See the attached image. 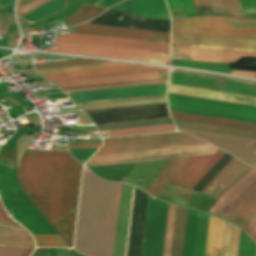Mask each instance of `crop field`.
<instances>
[{
	"label": "crop field",
	"instance_id": "crop-field-1",
	"mask_svg": "<svg viewBox=\"0 0 256 256\" xmlns=\"http://www.w3.org/2000/svg\"><path fill=\"white\" fill-rule=\"evenodd\" d=\"M80 168L69 153L26 150L19 171L26 193L68 242L72 240Z\"/></svg>",
	"mask_w": 256,
	"mask_h": 256
},
{
	"label": "crop field",
	"instance_id": "crop-field-2",
	"mask_svg": "<svg viewBox=\"0 0 256 256\" xmlns=\"http://www.w3.org/2000/svg\"><path fill=\"white\" fill-rule=\"evenodd\" d=\"M121 184L83 172L74 247L89 256H113Z\"/></svg>",
	"mask_w": 256,
	"mask_h": 256
},
{
	"label": "crop field",
	"instance_id": "crop-field-3",
	"mask_svg": "<svg viewBox=\"0 0 256 256\" xmlns=\"http://www.w3.org/2000/svg\"><path fill=\"white\" fill-rule=\"evenodd\" d=\"M198 212L169 204L163 256H192ZM209 215L199 212L193 256H204Z\"/></svg>",
	"mask_w": 256,
	"mask_h": 256
},
{
	"label": "crop field",
	"instance_id": "crop-field-4",
	"mask_svg": "<svg viewBox=\"0 0 256 256\" xmlns=\"http://www.w3.org/2000/svg\"><path fill=\"white\" fill-rule=\"evenodd\" d=\"M173 33L256 39V19L208 16L173 20Z\"/></svg>",
	"mask_w": 256,
	"mask_h": 256
},
{
	"label": "crop field",
	"instance_id": "crop-field-5",
	"mask_svg": "<svg viewBox=\"0 0 256 256\" xmlns=\"http://www.w3.org/2000/svg\"><path fill=\"white\" fill-rule=\"evenodd\" d=\"M173 111L256 123V107L168 94Z\"/></svg>",
	"mask_w": 256,
	"mask_h": 256
},
{
	"label": "crop field",
	"instance_id": "crop-field-6",
	"mask_svg": "<svg viewBox=\"0 0 256 256\" xmlns=\"http://www.w3.org/2000/svg\"><path fill=\"white\" fill-rule=\"evenodd\" d=\"M218 149L208 145L127 152L94 156L86 167L215 154Z\"/></svg>",
	"mask_w": 256,
	"mask_h": 256
},
{
	"label": "crop field",
	"instance_id": "crop-field-7",
	"mask_svg": "<svg viewBox=\"0 0 256 256\" xmlns=\"http://www.w3.org/2000/svg\"><path fill=\"white\" fill-rule=\"evenodd\" d=\"M49 51L168 64L169 54L56 41Z\"/></svg>",
	"mask_w": 256,
	"mask_h": 256
},
{
	"label": "crop field",
	"instance_id": "crop-field-8",
	"mask_svg": "<svg viewBox=\"0 0 256 256\" xmlns=\"http://www.w3.org/2000/svg\"><path fill=\"white\" fill-rule=\"evenodd\" d=\"M169 83L256 97V82L171 69Z\"/></svg>",
	"mask_w": 256,
	"mask_h": 256
},
{
	"label": "crop field",
	"instance_id": "crop-field-9",
	"mask_svg": "<svg viewBox=\"0 0 256 256\" xmlns=\"http://www.w3.org/2000/svg\"><path fill=\"white\" fill-rule=\"evenodd\" d=\"M256 192V169L253 168L227 190L210 213L233 220Z\"/></svg>",
	"mask_w": 256,
	"mask_h": 256
},
{
	"label": "crop field",
	"instance_id": "crop-field-10",
	"mask_svg": "<svg viewBox=\"0 0 256 256\" xmlns=\"http://www.w3.org/2000/svg\"><path fill=\"white\" fill-rule=\"evenodd\" d=\"M167 84L67 93L69 96L166 87ZM166 88L71 97L78 105L161 98Z\"/></svg>",
	"mask_w": 256,
	"mask_h": 256
},
{
	"label": "crop field",
	"instance_id": "crop-field-11",
	"mask_svg": "<svg viewBox=\"0 0 256 256\" xmlns=\"http://www.w3.org/2000/svg\"><path fill=\"white\" fill-rule=\"evenodd\" d=\"M172 47L256 53V40L173 34Z\"/></svg>",
	"mask_w": 256,
	"mask_h": 256
},
{
	"label": "crop field",
	"instance_id": "crop-field-12",
	"mask_svg": "<svg viewBox=\"0 0 256 256\" xmlns=\"http://www.w3.org/2000/svg\"><path fill=\"white\" fill-rule=\"evenodd\" d=\"M173 119L256 132V125L170 112ZM174 120L177 127L256 139V133Z\"/></svg>",
	"mask_w": 256,
	"mask_h": 256
},
{
	"label": "crop field",
	"instance_id": "crop-field-13",
	"mask_svg": "<svg viewBox=\"0 0 256 256\" xmlns=\"http://www.w3.org/2000/svg\"><path fill=\"white\" fill-rule=\"evenodd\" d=\"M167 208L150 196L143 256H162Z\"/></svg>",
	"mask_w": 256,
	"mask_h": 256
},
{
	"label": "crop field",
	"instance_id": "crop-field-14",
	"mask_svg": "<svg viewBox=\"0 0 256 256\" xmlns=\"http://www.w3.org/2000/svg\"><path fill=\"white\" fill-rule=\"evenodd\" d=\"M179 131L192 134L198 138H201L223 150L239 158L249 165L256 166V140L237 138L219 134H212L200 131H193L187 129L178 128ZM254 144V146H253ZM253 146V148H252ZM255 149V150H251Z\"/></svg>",
	"mask_w": 256,
	"mask_h": 256
},
{
	"label": "crop field",
	"instance_id": "crop-field-15",
	"mask_svg": "<svg viewBox=\"0 0 256 256\" xmlns=\"http://www.w3.org/2000/svg\"><path fill=\"white\" fill-rule=\"evenodd\" d=\"M78 34L98 35L126 39L146 40L169 43L170 33L108 26L82 24L75 28Z\"/></svg>",
	"mask_w": 256,
	"mask_h": 256
},
{
	"label": "crop field",
	"instance_id": "crop-field-16",
	"mask_svg": "<svg viewBox=\"0 0 256 256\" xmlns=\"http://www.w3.org/2000/svg\"><path fill=\"white\" fill-rule=\"evenodd\" d=\"M223 154L224 152L218 150L215 155L190 157L189 160L170 181V183L191 189ZM228 163L226 164V166L228 165ZM217 175L209 182V184L217 177ZM208 185L201 191V193L208 187Z\"/></svg>",
	"mask_w": 256,
	"mask_h": 256
},
{
	"label": "crop field",
	"instance_id": "crop-field-17",
	"mask_svg": "<svg viewBox=\"0 0 256 256\" xmlns=\"http://www.w3.org/2000/svg\"><path fill=\"white\" fill-rule=\"evenodd\" d=\"M56 40L169 53V44L165 43L145 42L78 34L57 36Z\"/></svg>",
	"mask_w": 256,
	"mask_h": 256
},
{
	"label": "crop field",
	"instance_id": "crop-field-18",
	"mask_svg": "<svg viewBox=\"0 0 256 256\" xmlns=\"http://www.w3.org/2000/svg\"><path fill=\"white\" fill-rule=\"evenodd\" d=\"M203 143L204 142L192 136H186V137H176V138L157 139V140H148V141L109 144V145H105L96 155L193 145V144H203Z\"/></svg>",
	"mask_w": 256,
	"mask_h": 256
},
{
	"label": "crop field",
	"instance_id": "crop-field-19",
	"mask_svg": "<svg viewBox=\"0 0 256 256\" xmlns=\"http://www.w3.org/2000/svg\"><path fill=\"white\" fill-rule=\"evenodd\" d=\"M134 187L122 184L114 256H126Z\"/></svg>",
	"mask_w": 256,
	"mask_h": 256
},
{
	"label": "crop field",
	"instance_id": "crop-field-20",
	"mask_svg": "<svg viewBox=\"0 0 256 256\" xmlns=\"http://www.w3.org/2000/svg\"><path fill=\"white\" fill-rule=\"evenodd\" d=\"M239 57L256 58L253 53L172 48V59L237 63Z\"/></svg>",
	"mask_w": 256,
	"mask_h": 256
},
{
	"label": "crop field",
	"instance_id": "crop-field-21",
	"mask_svg": "<svg viewBox=\"0 0 256 256\" xmlns=\"http://www.w3.org/2000/svg\"><path fill=\"white\" fill-rule=\"evenodd\" d=\"M168 93L256 106V98L169 84Z\"/></svg>",
	"mask_w": 256,
	"mask_h": 256
},
{
	"label": "crop field",
	"instance_id": "crop-field-22",
	"mask_svg": "<svg viewBox=\"0 0 256 256\" xmlns=\"http://www.w3.org/2000/svg\"><path fill=\"white\" fill-rule=\"evenodd\" d=\"M168 71L54 82L61 88L167 78Z\"/></svg>",
	"mask_w": 256,
	"mask_h": 256
},
{
	"label": "crop field",
	"instance_id": "crop-field-23",
	"mask_svg": "<svg viewBox=\"0 0 256 256\" xmlns=\"http://www.w3.org/2000/svg\"><path fill=\"white\" fill-rule=\"evenodd\" d=\"M0 246L34 249L33 239L28 231L15 221L0 220Z\"/></svg>",
	"mask_w": 256,
	"mask_h": 256
},
{
	"label": "crop field",
	"instance_id": "crop-field-24",
	"mask_svg": "<svg viewBox=\"0 0 256 256\" xmlns=\"http://www.w3.org/2000/svg\"><path fill=\"white\" fill-rule=\"evenodd\" d=\"M163 70H167V69L147 67V66H138V67H128V68H118V69H108V70H98V71H88V72L58 74V75H48L45 77H47L48 79H50L52 81H58V80H68V79H79V78H89V77H100V76H110V75L163 71Z\"/></svg>",
	"mask_w": 256,
	"mask_h": 256
},
{
	"label": "crop field",
	"instance_id": "crop-field-25",
	"mask_svg": "<svg viewBox=\"0 0 256 256\" xmlns=\"http://www.w3.org/2000/svg\"><path fill=\"white\" fill-rule=\"evenodd\" d=\"M227 222L211 216L205 256H223Z\"/></svg>",
	"mask_w": 256,
	"mask_h": 256
},
{
	"label": "crop field",
	"instance_id": "crop-field-26",
	"mask_svg": "<svg viewBox=\"0 0 256 256\" xmlns=\"http://www.w3.org/2000/svg\"><path fill=\"white\" fill-rule=\"evenodd\" d=\"M133 14L140 17L170 18L164 0H129Z\"/></svg>",
	"mask_w": 256,
	"mask_h": 256
},
{
	"label": "crop field",
	"instance_id": "crop-field-27",
	"mask_svg": "<svg viewBox=\"0 0 256 256\" xmlns=\"http://www.w3.org/2000/svg\"><path fill=\"white\" fill-rule=\"evenodd\" d=\"M187 160L188 158L171 159L145 191L157 197Z\"/></svg>",
	"mask_w": 256,
	"mask_h": 256
},
{
	"label": "crop field",
	"instance_id": "crop-field-28",
	"mask_svg": "<svg viewBox=\"0 0 256 256\" xmlns=\"http://www.w3.org/2000/svg\"><path fill=\"white\" fill-rule=\"evenodd\" d=\"M67 7V0H51L33 11L22 16L29 24L36 22L44 17L54 14ZM21 17L18 18L20 25L28 24Z\"/></svg>",
	"mask_w": 256,
	"mask_h": 256
},
{
	"label": "crop field",
	"instance_id": "crop-field-29",
	"mask_svg": "<svg viewBox=\"0 0 256 256\" xmlns=\"http://www.w3.org/2000/svg\"><path fill=\"white\" fill-rule=\"evenodd\" d=\"M128 66H134V65L106 62V63H96V64L43 68L39 70L42 73V75H48V74H58V73H68V72H78V71H88V70H98V69H108V68H118V67H128Z\"/></svg>",
	"mask_w": 256,
	"mask_h": 256
},
{
	"label": "crop field",
	"instance_id": "crop-field-30",
	"mask_svg": "<svg viewBox=\"0 0 256 256\" xmlns=\"http://www.w3.org/2000/svg\"><path fill=\"white\" fill-rule=\"evenodd\" d=\"M169 124H173L171 118L112 123V124H101V125H97V127L100 129V131H106V130H114V129H125V128H136V127H147V126H158V125H169Z\"/></svg>",
	"mask_w": 256,
	"mask_h": 256
},
{
	"label": "crop field",
	"instance_id": "crop-field-31",
	"mask_svg": "<svg viewBox=\"0 0 256 256\" xmlns=\"http://www.w3.org/2000/svg\"><path fill=\"white\" fill-rule=\"evenodd\" d=\"M237 163L232 166L233 162ZM232 164V165H231ZM248 166L244 165L237 159H233L230 164L219 174V176L213 181V183L218 184L227 188L238 176H240Z\"/></svg>",
	"mask_w": 256,
	"mask_h": 256
},
{
	"label": "crop field",
	"instance_id": "crop-field-32",
	"mask_svg": "<svg viewBox=\"0 0 256 256\" xmlns=\"http://www.w3.org/2000/svg\"><path fill=\"white\" fill-rule=\"evenodd\" d=\"M162 103H167L166 98L128 101V102H117V103H106V104H95V105H84V106H80V107L84 111H90V110H100V109H110V108L162 104Z\"/></svg>",
	"mask_w": 256,
	"mask_h": 256
},
{
	"label": "crop field",
	"instance_id": "crop-field-33",
	"mask_svg": "<svg viewBox=\"0 0 256 256\" xmlns=\"http://www.w3.org/2000/svg\"><path fill=\"white\" fill-rule=\"evenodd\" d=\"M214 14H233L244 16L239 0H209Z\"/></svg>",
	"mask_w": 256,
	"mask_h": 256
},
{
	"label": "crop field",
	"instance_id": "crop-field-34",
	"mask_svg": "<svg viewBox=\"0 0 256 256\" xmlns=\"http://www.w3.org/2000/svg\"><path fill=\"white\" fill-rule=\"evenodd\" d=\"M172 18L196 15L191 0H166Z\"/></svg>",
	"mask_w": 256,
	"mask_h": 256
},
{
	"label": "crop field",
	"instance_id": "crop-field-35",
	"mask_svg": "<svg viewBox=\"0 0 256 256\" xmlns=\"http://www.w3.org/2000/svg\"><path fill=\"white\" fill-rule=\"evenodd\" d=\"M162 131H176V127L175 125H169V126L148 127V128H138V129L116 130V131H109V132L111 137H118V136L147 134V133L162 132Z\"/></svg>",
	"mask_w": 256,
	"mask_h": 256
},
{
	"label": "crop field",
	"instance_id": "crop-field-36",
	"mask_svg": "<svg viewBox=\"0 0 256 256\" xmlns=\"http://www.w3.org/2000/svg\"><path fill=\"white\" fill-rule=\"evenodd\" d=\"M228 223L224 256H237L240 229Z\"/></svg>",
	"mask_w": 256,
	"mask_h": 256
},
{
	"label": "crop field",
	"instance_id": "crop-field-37",
	"mask_svg": "<svg viewBox=\"0 0 256 256\" xmlns=\"http://www.w3.org/2000/svg\"><path fill=\"white\" fill-rule=\"evenodd\" d=\"M37 247H69L60 235H33Z\"/></svg>",
	"mask_w": 256,
	"mask_h": 256
},
{
	"label": "crop field",
	"instance_id": "crop-field-38",
	"mask_svg": "<svg viewBox=\"0 0 256 256\" xmlns=\"http://www.w3.org/2000/svg\"><path fill=\"white\" fill-rule=\"evenodd\" d=\"M256 212V194L253 198L247 203V205L241 210V212L235 217L232 221L240 227H244L245 224L250 220V218Z\"/></svg>",
	"mask_w": 256,
	"mask_h": 256
},
{
	"label": "crop field",
	"instance_id": "crop-field-39",
	"mask_svg": "<svg viewBox=\"0 0 256 256\" xmlns=\"http://www.w3.org/2000/svg\"><path fill=\"white\" fill-rule=\"evenodd\" d=\"M105 10L104 8L93 7L82 15L65 20V23L67 27L74 26L101 14Z\"/></svg>",
	"mask_w": 256,
	"mask_h": 256
},
{
	"label": "crop field",
	"instance_id": "crop-field-40",
	"mask_svg": "<svg viewBox=\"0 0 256 256\" xmlns=\"http://www.w3.org/2000/svg\"><path fill=\"white\" fill-rule=\"evenodd\" d=\"M48 0H18L17 17L27 13Z\"/></svg>",
	"mask_w": 256,
	"mask_h": 256
},
{
	"label": "crop field",
	"instance_id": "crop-field-41",
	"mask_svg": "<svg viewBox=\"0 0 256 256\" xmlns=\"http://www.w3.org/2000/svg\"><path fill=\"white\" fill-rule=\"evenodd\" d=\"M167 83V80L162 81H152V82H141V83H131V84H120V85H110V86H99V87H89V88H78V89H68L65 92L71 91H82V90H94V89H105V88H116V87H128V86H139V85H150V84H162Z\"/></svg>",
	"mask_w": 256,
	"mask_h": 256
},
{
	"label": "crop field",
	"instance_id": "crop-field-42",
	"mask_svg": "<svg viewBox=\"0 0 256 256\" xmlns=\"http://www.w3.org/2000/svg\"><path fill=\"white\" fill-rule=\"evenodd\" d=\"M186 135L187 134H185V133H177V134L157 135V136L138 137V138H129V139L109 140V141H105V144L147 140V139H157V138H167V137H176V136H186Z\"/></svg>",
	"mask_w": 256,
	"mask_h": 256
},
{
	"label": "crop field",
	"instance_id": "crop-field-43",
	"mask_svg": "<svg viewBox=\"0 0 256 256\" xmlns=\"http://www.w3.org/2000/svg\"><path fill=\"white\" fill-rule=\"evenodd\" d=\"M26 250L0 248V256H22ZM33 250H27L24 256H29Z\"/></svg>",
	"mask_w": 256,
	"mask_h": 256
},
{
	"label": "crop field",
	"instance_id": "crop-field-44",
	"mask_svg": "<svg viewBox=\"0 0 256 256\" xmlns=\"http://www.w3.org/2000/svg\"><path fill=\"white\" fill-rule=\"evenodd\" d=\"M199 14H213L208 0H194Z\"/></svg>",
	"mask_w": 256,
	"mask_h": 256
},
{
	"label": "crop field",
	"instance_id": "crop-field-45",
	"mask_svg": "<svg viewBox=\"0 0 256 256\" xmlns=\"http://www.w3.org/2000/svg\"><path fill=\"white\" fill-rule=\"evenodd\" d=\"M253 218L256 220V214ZM253 218L248 222V224L244 227L243 230H245L256 242V221Z\"/></svg>",
	"mask_w": 256,
	"mask_h": 256
},
{
	"label": "crop field",
	"instance_id": "crop-field-46",
	"mask_svg": "<svg viewBox=\"0 0 256 256\" xmlns=\"http://www.w3.org/2000/svg\"><path fill=\"white\" fill-rule=\"evenodd\" d=\"M92 62H102V61L84 60V61H73V62L40 64V65H36V67H37V68H42V67H52V66H62V65L82 64V63H92Z\"/></svg>",
	"mask_w": 256,
	"mask_h": 256
},
{
	"label": "crop field",
	"instance_id": "crop-field-47",
	"mask_svg": "<svg viewBox=\"0 0 256 256\" xmlns=\"http://www.w3.org/2000/svg\"><path fill=\"white\" fill-rule=\"evenodd\" d=\"M244 12L256 13V0H240Z\"/></svg>",
	"mask_w": 256,
	"mask_h": 256
},
{
	"label": "crop field",
	"instance_id": "crop-field-48",
	"mask_svg": "<svg viewBox=\"0 0 256 256\" xmlns=\"http://www.w3.org/2000/svg\"><path fill=\"white\" fill-rule=\"evenodd\" d=\"M102 143H79V146H68L69 148H99Z\"/></svg>",
	"mask_w": 256,
	"mask_h": 256
},
{
	"label": "crop field",
	"instance_id": "crop-field-49",
	"mask_svg": "<svg viewBox=\"0 0 256 256\" xmlns=\"http://www.w3.org/2000/svg\"><path fill=\"white\" fill-rule=\"evenodd\" d=\"M231 74L256 77V72H245V71H231Z\"/></svg>",
	"mask_w": 256,
	"mask_h": 256
},
{
	"label": "crop field",
	"instance_id": "crop-field-50",
	"mask_svg": "<svg viewBox=\"0 0 256 256\" xmlns=\"http://www.w3.org/2000/svg\"><path fill=\"white\" fill-rule=\"evenodd\" d=\"M85 128H95L93 126H84V127H76L75 129H85ZM75 132H93L97 131V129H85V130H74Z\"/></svg>",
	"mask_w": 256,
	"mask_h": 256
},
{
	"label": "crop field",
	"instance_id": "crop-field-51",
	"mask_svg": "<svg viewBox=\"0 0 256 256\" xmlns=\"http://www.w3.org/2000/svg\"><path fill=\"white\" fill-rule=\"evenodd\" d=\"M0 212H1V214L3 215V217H4L5 219L11 220V219L9 218V216L7 215V213L5 212V210H4V208H3L2 204H1V202H0ZM1 214H0V219H4Z\"/></svg>",
	"mask_w": 256,
	"mask_h": 256
},
{
	"label": "crop field",
	"instance_id": "crop-field-52",
	"mask_svg": "<svg viewBox=\"0 0 256 256\" xmlns=\"http://www.w3.org/2000/svg\"><path fill=\"white\" fill-rule=\"evenodd\" d=\"M97 149H70L71 152H96Z\"/></svg>",
	"mask_w": 256,
	"mask_h": 256
}]
</instances>
